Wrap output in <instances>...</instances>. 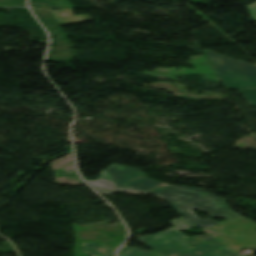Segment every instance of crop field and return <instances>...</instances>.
Returning a JSON list of instances; mask_svg holds the SVG:
<instances>
[{
	"label": "crop field",
	"mask_w": 256,
	"mask_h": 256,
	"mask_svg": "<svg viewBox=\"0 0 256 256\" xmlns=\"http://www.w3.org/2000/svg\"><path fill=\"white\" fill-rule=\"evenodd\" d=\"M102 178L87 180L97 191L112 194L116 191H127L132 194H156L169 202L186 219L200 228H207L217 221L214 217L231 218L236 215L225 199H221L203 189L196 187H181L154 181L135 168L112 164L102 173ZM199 209L209 213L210 219H203L193 212Z\"/></svg>",
	"instance_id": "1"
},
{
	"label": "crop field",
	"mask_w": 256,
	"mask_h": 256,
	"mask_svg": "<svg viewBox=\"0 0 256 256\" xmlns=\"http://www.w3.org/2000/svg\"><path fill=\"white\" fill-rule=\"evenodd\" d=\"M204 52L228 89L256 87L255 64L236 61L208 50Z\"/></svg>",
	"instance_id": "2"
},
{
	"label": "crop field",
	"mask_w": 256,
	"mask_h": 256,
	"mask_svg": "<svg viewBox=\"0 0 256 256\" xmlns=\"http://www.w3.org/2000/svg\"><path fill=\"white\" fill-rule=\"evenodd\" d=\"M210 228L219 233L218 240L239 253L244 247L256 248V223L240 215Z\"/></svg>",
	"instance_id": "3"
},
{
	"label": "crop field",
	"mask_w": 256,
	"mask_h": 256,
	"mask_svg": "<svg viewBox=\"0 0 256 256\" xmlns=\"http://www.w3.org/2000/svg\"><path fill=\"white\" fill-rule=\"evenodd\" d=\"M189 238L186 234L173 227L154 235H148L138 239L156 253L166 256L181 251L193 249L194 247L183 239Z\"/></svg>",
	"instance_id": "4"
},
{
	"label": "crop field",
	"mask_w": 256,
	"mask_h": 256,
	"mask_svg": "<svg viewBox=\"0 0 256 256\" xmlns=\"http://www.w3.org/2000/svg\"><path fill=\"white\" fill-rule=\"evenodd\" d=\"M185 241L193 245L195 249L170 255V256H201L203 254H206L224 245L222 242L218 241L217 239H215L209 234L190 238V239H185ZM154 252L145 251L137 247H129L124 245L120 249L118 256H160Z\"/></svg>",
	"instance_id": "5"
},
{
	"label": "crop field",
	"mask_w": 256,
	"mask_h": 256,
	"mask_svg": "<svg viewBox=\"0 0 256 256\" xmlns=\"http://www.w3.org/2000/svg\"><path fill=\"white\" fill-rule=\"evenodd\" d=\"M60 25L92 20L89 14L75 16L72 9H59L53 11Z\"/></svg>",
	"instance_id": "6"
},
{
	"label": "crop field",
	"mask_w": 256,
	"mask_h": 256,
	"mask_svg": "<svg viewBox=\"0 0 256 256\" xmlns=\"http://www.w3.org/2000/svg\"><path fill=\"white\" fill-rule=\"evenodd\" d=\"M85 253L91 254L92 256H109V254L100 246L90 242L82 244Z\"/></svg>",
	"instance_id": "7"
},
{
	"label": "crop field",
	"mask_w": 256,
	"mask_h": 256,
	"mask_svg": "<svg viewBox=\"0 0 256 256\" xmlns=\"http://www.w3.org/2000/svg\"><path fill=\"white\" fill-rule=\"evenodd\" d=\"M203 256H241L236 251L232 250L228 246L224 245L206 255Z\"/></svg>",
	"instance_id": "8"
},
{
	"label": "crop field",
	"mask_w": 256,
	"mask_h": 256,
	"mask_svg": "<svg viewBox=\"0 0 256 256\" xmlns=\"http://www.w3.org/2000/svg\"><path fill=\"white\" fill-rule=\"evenodd\" d=\"M250 104L256 105V89L240 90Z\"/></svg>",
	"instance_id": "9"
},
{
	"label": "crop field",
	"mask_w": 256,
	"mask_h": 256,
	"mask_svg": "<svg viewBox=\"0 0 256 256\" xmlns=\"http://www.w3.org/2000/svg\"><path fill=\"white\" fill-rule=\"evenodd\" d=\"M171 224H173L175 227H177L178 229L182 230L188 227H192L195 226L194 224H192L191 222L185 220L184 218L180 217L172 222H170Z\"/></svg>",
	"instance_id": "10"
},
{
	"label": "crop field",
	"mask_w": 256,
	"mask_h": 256,
	"mask_svg": "<svg viewBox=\"0 0 256 256\" xmlns=\"http://www.w3.org/2000/svg\"><path fill=\"white\" fill-rule=\"evenodd\" d=\"M246 8L248 9L250 14L252 15L253 19L256 20V3L246 5Z\"/></svg>",
	"instance_id": "11"
}]
</instances>
